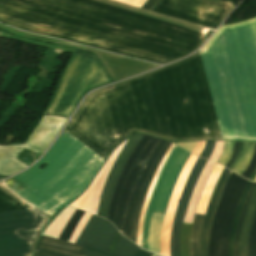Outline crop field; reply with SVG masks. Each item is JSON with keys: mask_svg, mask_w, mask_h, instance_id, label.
Returning a JSON list of instances; mask_svg holds the SVG:
<instances>
[{"mask_svg": "<svg viewBox=\"0 0 256 256\" xmlns=\"http://www.w3.org/2000/svg\"><path fill=\"white\" fill-rule=\"evenodd\" d=\"M36 247L61 253L67 256H84L79 254L83 248L82 246L43 235H41Z\"/></svg>", "mask_w": 256, "mask_h": 256, "instance_id": "obj_10", "label": "crop field"}, {"mask_svg": "<svg viewBox=\"0 0 256 256\" xmlns=\"http://www.w3.org/2000/svg\"><path fill=\"white\" fill-rule=\"evenodd\" d=\"M143 137L141 134H133L129 140L126 142L124 147L122 148L121 152L119 153L112 169L109 172L108 178L104 184L99 209H98V215L106 217L107 210L110 204L111 200V194L113 187L115 185V182L127 160L132 150L135 148L137 143L140 141V139Z\"/></svg>", "mask_w": 256, "mask_h": 256, "instance_id": "obj_5", "label": "crop field"}, {"mask_svg": "<svg viewBox=\"0 0 256 256\" xmlns=\"http://www.w3.org/2000/svg\"><path fill=\"white\" fill-rule=\"evenodd\" d=\"M204 215L196 214L191 236H190V256H198L199 233Z\"/></svg>", "mask_w": 256, "mask_h": 256, "instance_id": "obj_17", "label": "crop field"}, {"mask_svg": "<svg viewBox=\"0 0 256 256\" xmlns=\"http://www.w3.org/2000/svg\"><path fill=\"white\" fill-rule=\"evenodd\" d=\"M91 214L85 212L84 216L82 217L81 221L79 222L78 226L76 227L71 239H70V242H73L75 243L78 235L80 234L82 228L84 227L85 223L87 222V220L90 218Z\"/></svg>", "mask_w": 256, "mask_h": 256, "instance_id": "obj_24", "label": "crop field"}, {"mask_svg": "<svg viewBox=\"0 0 256 256\" xmlns=\"http://www.w3.org/2000/svg\"><path fill=\"white\" fill-rule=\"evenodd\" d=\"M35 256H64L57 253L41 250L36 248Z\"/></svg>", "mask_w": 256, "mask_h": 256, "instance_id": "obj_28", "label": "crop field"}, {"mask_svg": "<svg viewBox=\"0 0 256 256\" xmlns=\"http://www.w3.org/2000/svg\"><path fill=\"white\" fill-rule=\"evenodd\" d=\"M251 183L252 182H248L242 196H241V199H240V202H239V205H238V208H237V211H236V215H235V219H234V223H233V227H232V231H231V235H230V243H229V256H232L233 255V238H234V234H235V228H236V224H237V220H238V216H239V213L241 211V208L243 206V203L245 201V198L247 196V192L251 186Z\"/></svg>", "mask_w": 256, "mask_h": 256, "instance_id": "obj_20", "label": "crop field"}, {"mask_svg": "<svg viewBox=\"0 0 256 256\" xmlns=\"http://www.w3.org/2000/svg\"><path fill=\"white\" fill-rule=\"evenodd\" d=\"M230 174H231V171L229 172V174H228V176H227V178H226V180H225V182H224V185H223V187H222V189H221V192H222V190H223V188H224V186H225V184H226V182H227V180H228ZM221 192H220V194H219V196H218V200H217V203H216V207H217L218 201H219V199H220ZM216 207H215V210H216ZM215 210H214V214H215ZM214 214H213V217H212V221H211V225H210V230H211V226H212ZM210 230H209V235H210ZM208 249H209V236H208V242H207V256H208Z\"/></svg>", "mask_w": 256, "mask_h": 256, "instance_id": "obj_29", "label": "crop field"}, {"mask_svg": "<svg viewBox=\"0 0 256 256\" xmlns=\"http://www.w3.org/2000/svg\"><path fill=\"white\" fill-rule=\"evenodd\" d=\"M213 145H214V141H206V146L203 149V152L200 155V157H204V158L208 159V157L213 149Z\"/></svg>", "mask_w": 256, "mask_h": 256, "instance_id": "obj_27", "label": "crop field"}, {"mask_svg": "<svg viewBox=\"0 0 256 256\" xmlns=\"http://www.w3.org/2000/svg\"><path fill=\"white\" fill-rule=\"evenodd\" d=\"M166 144H167V141L159 139L157 145L152 150L150 156L148 157L145 165L143 166V168L133 186L132 194H131V197H130V200H129V203H128V206L126 209L124 223H123V227H122V231H121V234L128 239H130V237H131L134 215H135V211L137 208V204L139 201L141 191L143 189L146 179H147L157 157L159 156L160 152L162 151V149L164 148V146Z\"/></svg>", "mask_w": 256, "mask_h": 256, "instance_id": "obj_3", "label": "crop field"}, {"mask_svg": "<svg viewBox=\"0 0 256 256\" xmlns=\"http://www.w3.org/2000/svg\"><path fill=\"white\" fill-rule=\"evenodd\" d=\"M171 143L168 142V144L166 145V147L163 149V151L161 152L159 158L157 159L148 179H147V182L144 186V189H143V192L141 194V197H140V201H139V204H138V208H137V212H136V216H135V220H134V225H133V231H132V237H131V241L135 242L136 240V232H137V224H138V219H139V215H140V212H141V208H142V205H143V201H144V198L146 196V193H147V190L149 188V185L153 179V176L158 168V165L162 159V157L164 156L165 152L167 151V149L169 148Z\"/></svg>", "mask_w": 256, "mask_h": 256, "instance_id": "obj_15", "label": "crop field"}, {"mask_svg": "<svg viewBox=\"0 0 256 256\" xmlns=\"http://www.w3.org/2000/svg\"><path fill=\"white\" fill-rule=\"evenodd\" d=\"M153 256H156V254H154Z\"/></svg>", "mask_w": 256, "mask_h": 256, "instance_id": "obj_34", "label": "crop field"}, {"mask_svg": "<svg viewBox=\"0 0 256 256\" xmlns=\"http://www.w3.org/2000/svg\"><path fill=\"white\" fill-rule=\"evenodd\" d=\"M255 213H256V188L252 194L249 206L247 208V211L242 223L238 256H247L248 236H249L250 228H251Z\"/></svg>", "mask_w": 256, "mask_h": 256, "instance_id": "obj_12", "label": "crop field"}, {"mask_svg": "<svg viewBox=\"0 0 256 256\" xmlns=\"http://www.w3.org/2000/svg\"><path fill=\"white\" fill-rule=\"evenodd\" d=\"M190 153L184 151L175 145L174 149L170 153L164 168L160 174L150 202L148 204L144 226H143V235H142V243L141 247L148 250V237L150 231V225L153 213L156 214H165L167 204L175 183L184 163L186 162ZM197 157L190 154L182 172L180 173L169 204L165 214V217L162 215L154 214L150 237H149V250L152 252H156L160 254V234H161V226H162V234H161V254L164 256H170V238H171V227L172 221L176 209V205L181 193V190L184 186L185 180L195 162Z\"/></svg>", "mask_w": 256, "mask_h": 256, "instance_id": "obj_1", "label": "crop field"}, {"mask_svg": "<svg viewBox=\"0 0 256 256\" xmlns=\"http://www.w3.org/2000/svg\"><path fill=\"white\" fill-rule=\"evenodd\" d=\"M159 256V255H158Z\"/></svg>", "mask_w": 256, "mask_h": 256, "instance_id": "obj_35", "label": "crop field"}, {"mask_svg": "<svg viewBox=\"0 0 256 256\" xmlns=\"http://www.w3.org/2000/svg\"><path fill=\"white\" fill-rule=\"evenodd\" d=\"M150 139V136H146L144 135V137L141 139V141L138 143V145L136 146V148L134 149V151L132 152V154L130 155L116 185L115 188L113 190V194H112V200H111V205H110V209H109V213H108V217L107 219L112 222L113 218H114V214H115V210H116V205H117V201L120 197V193H121V189L124 185V181L129 173V171L131 170L134 162L136 161L137 157L139 156L140 152L142 151V149L144 148L145 144L147 143V141Z\"/></svg>", "mask_w": 256, "mask_h": 256, "instance_id": "obj_9", "label": "crop field"}, {"mask_svg": "<svg viewBox=\"0 0 256 256\" xmlns=\"http://www.w3.org/2000/svg\"><path fill=\"white\" fill-rule=\"evenodd\" d=\"M255 185H256V183L253 182V184H252V186H251V188L249 190L248 196L246 198V201L244 203V206L242 208V211L240 213V216H239V220H238V224H237V229H236V234H235V238H234V256H237V253H238V240H239L240 227H241V223H242V220H243V217H244L247 205H248L249 200H250L251 193H252Z\"/></svg>", "mask_w": 256, "mask_h": 256, "instance_id": "obj_21", "label": "crop field"}, {"mask_svg": "<svg viewBox=\"0 0 256 256\" xmlns=\"http://www.w3.org/2000/svg\"><path fill=\"white\" fill-rule=\"evenodd\" d=\"M125 142H123L120 146L117 147L115 151H113L107 163L105 162L106 164L101 168V170L99 171L98 175L96 176V178L94 179L90 187L85 191V193L82 196H80L73 203H71L70 206L83 209L96 214L98 204H99V199H100V193H101V189L103 187L104 181L107 177V174L116 156L118 155L119 151L121 150Z\"/></svg>", "mask_w": 256, "mask_h": 256, "instance_id": "obj_6", "label": "crop field"}, {"mask_svg": "<svg viewBox=\"0 0 256 256\" xmlns=\"http://www.w3.org/2000/svg\"><path fill=\"white\" fill-rule=\"evenodd\" d=\"M239 143H240V142H235V144H234L233 154H232V156H231L229 162H228L227 165H226V167H228V168H229V166L231 165V163L233 162V160H234V158H235V156H236V154H237L238 147H239Z\"/></svg>", "mask_w": 256, "mask_h": 256, "instance_id": "obj_30", "label": "crop field"}, {"mask_svg": "<svg viewBox=\"0 0 256 256\" xmlns=\"http://www.w3.org/2000/svg\"><path fill=\"white\" fill-rule=\"evenodd\" d=\"M223 170V167L215 164L210 176H209V179L204 187V190H203V193H202V196H201V199H200V202H199V206H198V209H197V212L196 213H200V214H204L205 213V209H206V206H207V203H208V199H209V196H210V193L221 173V171Z\"/></svg>", "mask_w": 256, "mask_h": 256, "instance_id": "obj_14", "label": "crop field"}, {"mask_svg": "<svg viewBox=\"0 0 256 256\" xmlns=\"http://www.w3.org/2000/svg\"><path fill=\"white\" fill-rule=\"evenodd\" d=\"M119 237H120V235H119V233L117 231V233H116V235H115V237H114V239H113V241L111 243V246H110V248L108 250V253H111V254L113 253V250H114V248H115V246H116V244L118 242Z\"/></svg>", "mask_w": 256, "mask_h": 256, "instance_id": "obj_31", "label": "crop field"}, {"mask_svg": "<svg viewBox=\"0 0 256 256\" xmlns=\"http://www.w3.org/2000/svg\"><path fill=\"white\" fill-rule=\"evenodd\" d=\"M247 182L232 173L216 210L211 231L209 256H228L229 235L235 211Z\"/></svg>", "mask_w": 256, "mask_h": 256, "instance_id": "obj_2", "label": "crop field"}, {"mask_svg": "<svg viewBox=\"0 0 256 256\" xmlns=\"http://www.w3.org/2000/svg\"><path fill=\"white\" fill-rule=\"evenodd\" d=\"M116 231L110 222L92 215L79 235L76 244L83 246L86 244L107 252Z\"/></svg>", "mask_w": 256, "mask_h": 256, "instance_id": "obj_4", "label": "crop field"}, {"mask_svg": "<svg viewBox=\"0 0 256 256\" xmlns=\"http://www.w3.org/2000/svg\"><path fill=\"white\" fill-rule=\"evenodd\" d=\"M254 144L253 142H241L238 155L230 169L241 175L251 159Z\"/></svg>", "mask_w": 256, "mask_h": 256, "instance_id": "obj_13", "label": "crop field"}, {"mask_svg": "<svg viewBox=\"0 0 256 256\" xmlns=\"http://www.w3.org/2000/svg\"><path fill=\"white\" fill-rule=\"evenodd\" d=\"M84 250H87V251H90V252H93V253H96V254H99V255H102V256H114V255L105 253L103 251H100L98 249L90 248V247H87V246L84 247ZM151 255H152V253H149V252H146V251H143V250L140 249V251L137 253L136 256H151Z\"/></svg>", "mask_w": 256, "mask_h": 256, "instance_id": "obj_25", "label": "crop field"}, {"mask_svg": "<svg viewBox=\"0 0 256 256\" xmlns=\"http://www.w3.org/2000/svg\"><path fill=\"white\" fill-rule=\"evenodd\" d=\"M204 142L205 141L197 142L196 147H195L194 150H193V148H194L196 142H192V143H177V145H179V146H181V147H183V148H185V149H187V150H189L191 152L193 150L192 153H194V154L199 156V154H200V152H201V150H202V148L204 146Z\"/></svg>", "mask_w": 256, "mask_h": 256, "instance_id": "obj_23", "label": "crop field"}, {"mask_svg": "<svg viewBox=\"0 0 256 256\" xmlns=\"http://www.w3.org/2000/svg\"><path fill=\"white\" fill-rule=\"evenodd\" d=\"M84 212L76 210V212L72 215L69 219L67 225L65 226L64 230L62 231L59 239L68 241L69 237L71 236L72 232L74 231L79 219L83 216Z\"/></svg>", "mask_w": 256, "mask_h": 256, "instance_id": "obj_19", "label": "crop field"}, {"mask_svg": "<svg viewBox=\"0 0 256 256\" xmlns=\"http://www.w3.org/2000/svg\"><path fill=\"white\" fill-rule=\"evenodd\" d=\"M254 181H256V178L254 179Z\"/></svg>", "mask_w": 256, "mask_h": 256, "instance_id": "obj_33", "label": "crop field"}, {"mask_svg": "<svg viewBox=\"0 0 256 256\" xmlns=\"http://www.w3.org/2000/svg\"><path fill=\"white\" fill-rule=\"evenodd\" d=\"M140 248L124 239L122 236L119 239L114 255L118 256H134Z\"/></svg>", "mask_w": 256, "mask_h": 256, "instance_id": "obj_18", "label": "crop field"}, {"mask_svg": "<svg viewBox=\"0 0 256 256\" xmlns=\"http://www.w3.org/2000/svg\"><path fill=\"white\" fill-rule=\"evenodd\" d=\"M255 168H256V145H255V149L253 152L251 162L249 163L246 170L243 172L242 176L248 178L252 174V172L254 171Z\"/></svg>", "mask_w": 256, "mask_h": 256, "instance_id": "obj_26", "label": "crop field"}, {"mask_svg": "<svg viewBox=\"0 0 256 256\" xmlns=\"http://www.w3.org/2000/svg\"><path fill=\"white\" fill-rule=\"evenodd\" d=\"M248 256H256V216L252 225Z\"/></svg>", "mask_w": 256, "mask_h": 256, "instance_id": "obj_22", "label": "crop field"}, {"mask_svg": "<svg viewBox=\"0 0 256 256\" xmlns=\"http://www.w3.org/2000/svg\"><path fill=\"white\" fill-rule=\"evenodd\" d=\"M81 254H84V255H87V256H99V255H96V254H93V253H90V252H87V251H84V250H82Z\"/></svg>", "mask_w": 256, "mask_h": 256, "instance_id": "obj_32", "label": "crop field"}, {"mask_svg": "<svg viewBox=\"0 0 256 256\" xmlns=\"http://www.w3.org/2000/svg\"><path fill=\"white\" fill-rule=\"evenodd\" d=\"M206 160L198 158L187 181L184 186L183 193L181 195L180 201L177 206L176 214L173 221L172 227V238H171V256H180L179 255V234L181 229V224L183 220V215L188 203V200L191 196L192 189L195 185L197 177L203 168Z\"/></svg>", "mask_w": 256, "mask_h": 256, "instance_id": "obj_7", "label": "crop field"}, {"mask_svg": "<svg viewBox=\"0 0 256 256\" xmlns=\"http://www.w3.org/2000/svg\"><path fill=\"white\" fill-rule=\"evenodd\" d=\"M228 173L227 169H224L223 173L221 174L215 189L213 191V194L211 196V199L209 201V204L207 206V210H206V214L204 217V221H203V225H202V229H201V234H200V252H199V256H206V235H207V230H208V226L212 217V213L215 207V203L217 200V196L218 193L220 191V188L223 184V181L226 177Z\"/></svg>", "mask_w": 256, "mask_h": 256, "instance_id": "obj_11", "label": "crop field"}, {"mask_svg": "<svg viewBox=\"0 0 256 256\" xmlns=\"http://www.w3.org/2000/svg\"><path fill=\"white\" fill-rule=\"evenodd\" d=\"M157 141H158L157 138L151 137V139L149 140L146 147L138 157L137 161L135 162L131 172L129 173L126 179L121 197L118 201V206H117V210H116V214L113 222V224L116 226L119 232L121 231L124 213H125L127 202L131 194L133 183L135 182L142 166L144 165L149 153L151 152V150L153 149Z\"/></svg>", "mask_w": 256, "mask_h": 256, "instance_id": "obj_8", "label": "crop field"}, {"mask_svg": "<svg viewBox=\"0 0 256 256\" xmlns=\"http://www.w3.org/2000/svg\"><path fill=\"white\" fill-rule=\"evenodd\" d=\"M173 147H174V145L171 144V146H170L168 152H167L166 155L163 157V159H162V161H161V163H160V166H159V168H158V170H157V173H156V175H155V177H154V179H153V181H152V183H151V185H150V188H149V190H148L147 196H146V198H145L144 205H143L142 212H141L140 219H139V224H138V232H137L136 244L139 245V246H140V243H141V234H142L143 219H144V215H145V211H146L147 204H148V202H149V199H150V197H151V194H152V192H153V189H154V187H155V184H156V182H157V179H158V177H159V174H160V172H161V170H162V167H163V165H164V163H165V161H166V159H167L169 153H170L171 150L173 149Z\"/></svg>", "mask_w": 256, "mask_h": 256, "instance_id": "obj_16", "label": "crop field"}]
</instances>
